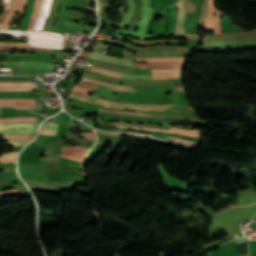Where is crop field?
Masks as SVG:
<instances>
[{"label":"crop field","instance_id":"1","mask_svg":"<svg viewBox=\"0 0 256 256\" xmlns=\"http://www.w3.org/2000/svg\"><path fill=\"white\" fill-rule=\"evenodd\" d=\"M69 97L76 98L82 101H86L93 104H99L106 107H119V108H133V109H149V110H161L170 105H148V104H131V103H114L102 100L100 98L80 95L70 92Z\"/></svg>","mask_w":256,"mask_h":256},{"label":"crop field","instance_id":"2","mask_svg":"<svg viewBox=\"0 0 256 256\" xmlns=\"http://www.w3.org/2000/svg\"><path fill=\"white\" fill-rule=\"evenodd\" d=\"M29 38H40L47 40H54L63 42L64 36L56 33H46V32H26ZM47 40H39V39H29L28 42L31 46L35 47H43V48H60L62 49L63 43L53 42Z\"/></svg>","mask_w":256,"mask_h":256},{"label":"crop field","instance_id":"3","mask_svg":"<svg viewBox=\"0 0 256 256\" xmlns=\"http://www.w3.org/2000/svg\"><path fill=\"white\" fill-rule=\"evenodd\" d=\"M50 5H51V0H44V6H43V0H36L35 1V7H34V11L30 20V24L28 27V30H33L40 15L42 12V6H43V12H42V16L35 28V30H41L45 20L49 14V10H50Z\"/></svg>","mask_w":256,"mask_h":256},{"label":"crop field","instance_id":"4","mask_svg":"<svg viewBox=\"0 0 256 256\" xmlns=\"http://www.w3.org/2000/svg\"><path fill=\"white\" fill-rule=\"evenodd\" d=\"M5 67H30L51 70L54 69L55 64L42 62H25V61H7Z\"/></svg>","mask_w":256,"mask_h":256},{"label":"crop field","instance_id":"5","mask_svg":"<svg viewBox=\"0 0 256 256\" xmlns=\"http://www.w3.org/2000/svg\"><path fill=\"white\" fill-rule=\"evenodd\" d=\"M148 20H149V18L142 21V22H139L136 33H133V32H130V31H124V30H117L115 33L127 34L129 36L140 38V39H152V38H157V37L163 36L162 34L144 35L145 34V28H146V25L148 23Z\"/></svg>","mask_w":256,"mask_h":256},{"label":"crop field","instance_id":"6","mask_svg":"<svg viewBox=\"0 0 256 256\" xmlns=\"http://www.w3.org/2000/svg\"><path fill=\"white\" fill-rule=\"evenodd\" d=\"M90 72H96V73H101L107 76H113V77H122V73L119 72H113V71H107L103 69H98V68H92L90 67L89 70ZM122 79H136V80H146V79H151V75H127L124 74Z\"/></svg>","mask_w":256,"mask_h":256},{"label":"crop field","instance_id":"7","mask_svg":"<svg viewBox=\"0 0 256 256\" xmlns=\"http://www.w3.org/2000/svg\"><path fill=\"white\" fill-rule=\"evenodd\" d=\"M89 58L133 67V61H131V60H125V59H121V58L105 56V55L94 53V52L90 53Z\"/></svg>","mask_w":256,"mask_h":256},{"label":"crop field","instance_id":"8","mask_svg":"<svg viewBox=\"0 0 256 256\" xmlns=\"http://www.w3.org/2000/svg\"><path fill=\"white\" fill-rule=\"evenodd\" d=\"M180 69H152V79L179 78Z\"/></svg>","mask_w":256,"mask_h":256},{"label":"crop field","instance_id":"9","mask_svg":"<svg viewBox=\"0 0 256 256\" xmlns=\"http://www.w3.org/2000/svg\"><path fill=\"white\" fill-rule=\"evenodd\" d=\"M176 5L178 7V15L176 20L175 33H183V21L185 15V6L183 0H179Z\"/></svg>","mask_w":256,"mask_h":256},{"label":"crop field","instance_id":"10","mask_svg":"<svg viewBox=\"0 0 256 256\" xmlns=\"http://www.w3.org/2000/svg\"><path fill=\"white\" fill-rule=\"evenodd\" d=\"M88 148L81 147V146H71V147H63L62 153H67L70 155L82 156L84 157L85 154L88 152Z\"/></svg>","mask_w":256,"mask_h":256},{"label":"crop field","instance_id":"11","mask_svg":"<svg viewBox=\"0 0 256 256\" xmlns=\"http://www.w3.org/2000/svg\"><path fill=\"white\" fill-rule=\"evenodd\" d=\"M186 58L177 57H156V58H136L135 61L139 62H166V61H179L185 62Z\"/></svg>","mask_w":256,"mask_h":256},{"label":"crop field","instance_id":"12","mask_svg":"<svg viewBox=\"0 0 256 256\" xmlns=\"http://www.w3.org/2000/svg\"><path fill=\"white\" fill-rule=\"evenodd\" d=\"M215 11V0H209V9L207 12L204 29L213 30L212 19Z\"/></svg>","mask_w":256,"mask_h":256},{"label":"crop field","instance_id":"13","mask_svg":"<svg viewBox=\"0 0 256 256\" xmlns=\"http://www.w3.org/2000/svg\"><path fill=\"white\" fill-rule=\"evenodd\" d=\"M184 63L178 62H166V63H151V64H141L135 63V65H141L140 68L146 67H170V68H182Z\"/></svg>","mask_w":256,"mask_h":256},{"label":"crop field","instance_id":"14","mask_svg":"<svg viewBox=\"0 0 256 256\" xmlns=\"http://www.w3.org/2000/svg\"><path fill=\"white\" fill-rule=\"evenodd\" d=\"M177 9L176 5H172L169 7V26H168V33H174V25L176 19Z\"/></svg>","mask_w":256,"mask_h":256},{"label":"crop field","instance_id":"15","mask_svg":"<svg viewBox=\"0 0 256 256\" xmlns=\"http://www.w3.org/2000/svg\"><path fill=\"white\" fill-rule=\"evenodd\" d=\"M138 91H174L175 86L134 87Z\"/></svg>","mask_w":256,"mask_h":256},{"label":"crop field","instance_id":"16","mask_svg":"<svg viewBox=\"0 0 256 256\" xmlns=\"http://www.w3.org/2000/svg\"><path fill=\"white\" fill-rule=\"evenodd\" d=\"M33 4H34V0H28L25 17H24L23 24H22L20 30H25L26 29L27 24L29 22L31 14H32Z\"/></svg>","mask_w":256,"mask_h":256},{"label":"crop field","instance_id":"17","mask_svg":"<svg viewBox=\"0 0 256 256\" xmlns=\"http://www.w3.org/2000/svg\"><path fill=\"white\" fill-rule=\"evenodd\" d=\"M37 117H16L9 119H1L3 124L19 123V122H36Z\"/></svg>","mask_w":256,"mask_h":256},{"label":"crop field","instance_id":"18","mask_svg":"<svg viewBox=\"0 0 256 256\" xmlns=\"http://www.w3.org/2000/svg\"><path fill=\"white\" fill-rule=\"evenodd\" d=\"M69 9H80L87 11V0H70Z\"/></svg>","mask_w":256,"mask_h":256},{"label":"crop field","instance_id":"19","mask_svg":"<svg viewBox=\"0 0 256 256\" xmlns=\"http://www.w3.org/2000/svg\"><path fill=\"white\" fill-rule=\"evenodd\" d=\"M126 1L128 3V9H127V12H126L120 26L127 25L129 23L131 16L133 14V10H134L132 0H126Z\"/></svg>","mask_w":256,"mask_h":256},{"label":"crop field","instance_id":"20","mask_svg":"<svg viewBox=\"0 0 256 256\" xmlns=\"http://www.w3.org/2000/svg\"><path fill=\"white\" fill-rule=\"evenodd\" d=\"M38 124H11L0 125V130L16 129V128H36Z\"/></svg>","mask_w":256,"mask_h":256},{"label":"crop field","instance_id":"21","mask_svg":"<svg viewBox=\"0 0 256 256\" xmlns=\"http://www.w3.org/2000/svg\"><path fill=\"white\" fill-rule=\"evenodd\" d=\"M76 87H81V88H87V89H92L95 90L97 86H90L87 84H83V83H79L76 85ZM73 87L72 91L74 92H78V93H82V94H88L90 92H92V90H87V89H81V88H76ZM98 88V87H97Z\"/></svg>","mask_w":256,"mask_h":256},{"label":"crop field","instance_id":"22","mask_svg":"<svg viewBox=\"0 0 256 256\" xmlns=\"http://www.w3.org/2000/svg\"><path fill=\"white\" fill-rule=\"evenodd\" d=\"M35 129H19L11 131H1L0 136L2 135H16V134H33Z\"/></svg>","mask_w":256,"mask_h":256},{"label":"crop field","instance_id":"23","mask_svg":"<svg viewBox=\"0 0 256 256\" xmlns=\"http://www.w3.org/2000/svg\"><path fill=\"white\" fill-rule=\"evenodd\" d=\"M31 77H5L0 76V82H30Z\"/></svg>","mask_w":256,"mask_h":256},{"label":"crop field","instance_id":"24","mask_svg":"<svg viewBox=\"0 0 256 256\" xmlns=\"http://www.w3.org/2000/svg\"><path fill=\"white\" fill-rule=\"evenodd\" d=\"M221 15H222V12H216V15L214 17V20H213V25H214V34H218V33H222V30H221Z\"/></svg>","mask_w":256,"mask_h":256},{"label":"crop field","instance_id":"25","mask_svg":"<svg viewBox=\"0 0 256 256\" xmlns=\"http://www.w3.org/2000/svg\"><path fill=\"white\" fill-rule=\"evenodd\" d=\"M194 13L186 12L185 18V33H191L190 27L193 25Z\"/></svg>","mask_w":256,"mask_h":256},{"label":"crop field","instance_id":"26","mask_svg":"<svg viewBox=\"0 0 256 256\" xmlns=\"http://www.w3.org/2000/svg\"><path fill=\"white\" fill-rule=\"evenodd\" d=\"M17 154L18 152H11V153L5 154L0 158V163L15 162Z\"/></svg>","mask_w":256,"mask_h":256},{"label":"crop field","instance_id":"27","mask_svg":"<svg viewBox=\"0 0 256 256\" xmlns=\"http://www.w3.org/2000/svg\"><path fill=\"white\" fill-rule=\"evenodd\" d=\"M142 1H143V10H142L141 20L149 17L150 14L152 13L149 7V0H142Z\"/></svg>","mask_w":256,"mask_h":256},{"label":"crop field","instance_id":"28","mask_svg":"<svg viewBox=\"0 0 256 256\" xmlns=\"http://www.w3.org/2000/svg\"><path fill=\"white\" fill-rule=\"evenodd\" d=\"M0 35L4 36H19V37H26L25 32L20 31H0Z\"/></svg>","mask_w":256,"mask_h":256},{"label":"crop field","instance_id":"29","mask_svg":"<svg viewBox=\"0 0 256 256\" xmlns=\"http://www.w3.org/2000/svg\"><path fill=\"white\" fill-rule=\"evenodd\" d=\"M0 46L31 47L28 45V43H18V42H0Z\"/></svg>","mask_w":256,"mask_h":256},{"label":"crop field","instance_id":"30","mask_svg":"<svg viewBox=\"0 0 256 256\" xmlns=\"http://www.w3.org/2000/svg\"><path fill=\"white\" fill-rule=\"evenodd\" d=\"M33 135H17V136H7V137H1L5 140H11V139H30Z\"/></svg>","mask_w":256,"mask_h":256},{"label":"crop field","instance_id":"31","mask_svg":"<svg viewBox=\"0 0 256 256\" xmlns=\"http://www.w3.org/2000/svg\"><path fill=\"white\" fill-rule=\"evenodd\" d=\"M17 4H18V0H12L11 8L8 12V15L11 17V19L15 15Z\"/></svg>","mask_w":256,"mask_h":256},{"label":"crop field","instance_id":"32","mask_svg":"<svg viewBox=\"0 0 256 256\" xmlns=\"http://www.w3.org/2000/svg\"><path fill=\"white\" fill-rule=\"evenodd\" d=\"M15 170H6L0 173V178H12L14 175Z\"/></svg>","mask_w":256,"mask_h":256},{"label":"crop field","instance_id":"33","mask_svg":"<svg viewBox=\"0 0 256 256\" xmlns=\"http://www.w3.org/2000/svg\"><path fill=\"white\" fill-rule=\"evenodd\" d=\"M25 191L23 190H10V191H4V192H0V196H4L7 194L13 195V194H23Z\"/></svg>","mask_w":256,"mask_h":256},{"label":"crop field","instance_id":"34","mask_svg":"<svg viewBox=\"0 0 256 256\" xmlns=\"http://www.w3.org/2000/svg\"><path fill=\"white\" fill-rule=\"evenodd\" d=\"M24 7H25V0H19L17 11L20 13V16L23 15Z\"/></svg>","mask_w":256,"mask_h":256},{"label":"crop field","instance_id":"35","mask_svg":"<svg viewBox=\"0 0 256 256\" xmlns=\"http://www.w3.org/2000/svg\"><path fill=\"white\" fill-rule=\"evenodd\" d=\"M28 141H29V140H27V141H18V140H15V141H9L8 143H9L10 145H12V146H21V145H25Z\"/></svg>","mask_w":256,"mask_h":256},{"label":"crop field","instance_id":"36","mask_svg":"<svg viewBox=\"0 0 256 256\" xmlns=\"http://www.w3.org/2000/svg\"><path fill=\"white\" fill-rule=\"evenodd\" d=\"M6 48H19V47H0V51H6ZM19 49L47 50V51H51V49H41V48H19Z\"/></svg>","mask_w":256,"mask_h":256},{"label":"crop field","instance_id":"37","mask_svg":"<svg viewBox=\"0 0 256 256\" xmlns=\"http://www.w3.org/2000/svg\"><path fill=\"white\" fill-rule=\"evenodd\" d=\"M58 124H47L44 123L41 128L57 130Z\"/></svg>","mask_w":256,"mask_h":256},{"label":"crop field","instance_id":"38","mask_svg":"<svg viewBox=\"0 0 256 256\" xmlns=\"http://www.w3.org/2000/svg\"><path fill=\"white\" fill-rule=\"evenodd\" d=\"M73 23V22H72ZM72 23H69V22H65V26H68V27H72V28H76V29H80V28H83L85 27V25H81V24H72Z\"/></svg>","mask_w":256,"mask_h":256},{"label":"crop field","instance_id":"39","mask_svg":"<svg viewBox=\"0 0 256 256\" xmlns=\"http://www.w3.org/2000/svg\"><path fill=\"white\" fill-rule=\"evenodd\" d=\"M253 46H256V44L229 46V48H253Z\"/></svg>","mask_w":256,"mask_h":256},{"label":"crop field","instance_id":"40","mask_svg":"<svg viewBox=\"0 0 256 256\" xmlns=\"http://www.w3.org/2000/svg\"><path fill=\"white\" fill-rule=\"evenodd\" d=\"M81 137L88 138V139H94L96 140L97 137L95 135L87 134V133H81Z\"/></svg>","mask_w":256,"mask_h":256},{"label":"crop field","instance_id":"41","mask_svg":"<svg viewBox=\"0 0 256 256\" xmlns=\"http://www.w3.org/2000/svg\"><path fill=\"white\" fill-rule=\"evenodd\" d=\"M61 156L69 158V159H73V160H76V161H80V162H82V160H83V158H81V157H75V156H70V155H62V154H61Z\"/></svg>","mask_w":256,"mask_h":256},{"label":"crop field","instance_id":"42","mask_svg":"<svg viewBox=\"0 0 256 256\" xmlns=\"http://www.w3.org/2000/svg\"><path fill=\"white\" fill-rule=\"evenodd\" d=\"M9 22L10 21L8 20V17L6 16V18L4 19L0 29H8V23Z\"/></svg>","mask_w":256,"mask_h":256},{"label":"crop field","instance_id":"43","mask_svg":"<svg viewBox=\"0 0 256 256\" xmlns=\"http://www.w3.org/2000/svg\"><path fill=\"white\" fill-rule=\"evenodd\" d=\"M103 110V109H101ZM104 111H110V112H118V113H134V114H146V115H150L147 113H138V112H131V111H113V110H104Z\"/></svg>","mask_w":256,"mask_h":256},{"label":"crop field","instance_id":"44","mask_svg":"<svg viewBox=\"0 0 256 256\" xmlns=\"http://www.w3.org/2000/svg\"><path fill=\"white\" fill-rule=\"evenodd\" d=\"M56 131L52 130H41L39 134L55 135Z\"/></svg>","mask_w":256,"mask_h":256},{"label":"crop field","instance_id":"45","mask_svg":"<svg viewBox=\"0 0 256 256\" xmlns=\"http://www.w3.org/2000/svg\"><path fill=\"white\" fill-rule=\"evenodd\" d=\"M10 0H3L2 6L1 7H5V11L4 13H7V8L9 6Z\"/></svg>","mask_w":256,"mask_h":256},{"label":"crop field","instance_id":"46","mask_svg":"<svg viewBox=\"0 0 256 256\" xmlns=\"http://www.w3.org/2000/svg\"><path fill=\"white\" fill-rule=\"evenodd\" d=\"M129 136H134V135H129ZM138 137V136H137ZM145 138V137H144ZM150 139V138H149ZM153 140H156V139H153ZM157 141H161V140H157ZM161 142H164V143H168V144H173V145H178V146H183V145H180V144H176V143H171V142H166V141H161ZM185 147V146H183Z\"/></svg>","mask_w":256,"mask_h":256},{"label":"crop field","instance_id":"47","mask_svg":"<svg viewBox=\"0 0 256 256\" xmlns=\"http://www.w3.org/2000/svg\"><path fill=\"white\" fill-rule=\"evenodd\" d=\"M114 125H128V126H136V127H145L146 125H129V124H120V123H114Z\"/></svg>","mask_w":256,"mask_h":256},{"label":"crop field","instance_id":"48","mask_svg":"<svg viewBox=\"0 0 256 256\" xmlns=\"http://www.w3.org/2000/svg\"><path fill=\"white\" fill-rule=\"evenodd\" d=\"M195 5H197L199 0H191Z\"/></svg>","mask_w":256,"mask_h":256},{"label":"crop field","instance_id":"49","mask_svg":"<svg viewBox=\"0 0 256 256\" xmlns=\"http://www.w3.org/2000/svg\"><path fill=\"white\" fill-rule=\"evenodd\" d=\"M172 139V138H171ZM178 139H180V138H178ZM173 140H177V139H173ZM182 140H186V139H182ZM177 141H181V140H177ZM187 141H191V140H187ZM186 142V141H185ZM193 142H195V141H193ZM200 143V142H199Z\"/></svg>","mask_w":256,"mask_h":256},{"label":"crop field","instance_id":"50","mask_svg":"<svg viewBox=\"0 0 256 256\" xmlns=\"http://www.w3.org/2000/svg\"><path fill=\"white\" fill-rule=\"evenodd\" d=\"M118 132H128V131H118ZM132 133H134V132H132ZM140 134V133H139ZM145 135H149V134H145ZM151 136H153V135H151Z\"/></svg>","mask_w":256,"mask_h":256},{"label":"crop field","instance_id":"51","mask_svg":"<svg viewBox=\"0 0 256 256\" xmlns=\"http://www.w3.org/2000/svg\"><path fill=\"white\" fill-rule=\"evenodd\" d=\"M0 124H2V123H1V120H0Z\"/></svg>","mask_w":256,"mask_h":256},{"label":"crop field","instance_id":"52","mask_svg":"<svg viewBox=\"0 0 256 256\" xmlns=\"http://www.w3.org/2000/svg\"><path fill=\"white\" fill-rule=\"evenodd\" d=\"M112 135H115V134H112Z\"/></svg>","mask_w":256,"mask_h":256}]
</instances>
